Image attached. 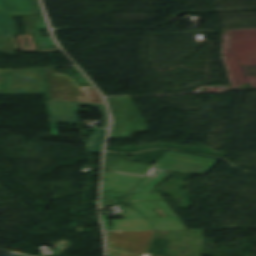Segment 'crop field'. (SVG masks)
<instances>
[{
    "label": "crop field",
    "instance_id": "8a807250",
    "mask_svg": "<svg viewBox=\"0 0 256 256\" xmlns=\"http://www.w3.org/2000/svg\"><path fill=\"white\" fill-rule=\"evenodd\" d=\"M216 160L190 155L166 152L146 176L109 170L104 173L103 190L111 196H126L127 192L136 193L130 201L163 199L158 194H149L157 184L172 170L200 174L209 170ZM120 193V194H116Z\"/></svg>",
    "mask_w": 256,
    "mask_h": 256
},
{
    "label": "crop field",
    "instance_id": "ac0d7876",
    "mask_svg": "<svg viewBox=\"0 0 256 256\" xmlns=\"http://www.w3.org/2000/svg\"><path fill=\"white\" fill-rule=\"evenodd\" d=\"M50 100L104 105L93 86L80 87L66 74H58L55 68H46Z\"/></svg>",
    "mask_w": 256,
    "mask_h": 256
},
{
    "label": "crop field",
    "instance_id": "34b2d1b8",
    "mask_svg": "<svg viewBox=\"0 0 256 256\" xmlns=\"http://www.w3.org/2000/svg\"><path fill=\"white\" fill-rule=\"evenodd\" d=\"M107 100L114 119L110 139L133 138L136 133L148 132L146 122L130 97Z\"/></svg>",
    "mask_w": 256,
    "mask_h": 256
},
{
    "label": "crop field",
    "instance_id": "412701ff",
    "mask_svg": "<svg viewBox=\"0 0 256 256\" xmlns=\"http://www.w3.org/2000/svg\"><path fill=\"white\" fill-rule=\"evenodd\" d=\"M36 1L39 8V22L35 28V34L39 49L58 48L49 34L48 27L42 14L39 2L38 0ZM0 2L4 11V13H0V36H10L17 34L11 16L36 14L37 12L33 0H0ZM37 29H46L49 37L40 38L39 34L37 33Z\"/></svg>",
    "mask_w": 256,
    "mask_h": 256
},
{
    "label": "crop field",
    "instance_id": "f4fd0767",
    "mask_svg": "<svg viewBox=\"0 0 256 256\" xmlns=\"http://www.w3.org/2000/svg\"><path fill=\"white\" fill-rule=\"evenodd\" d=\"M46 104L49 112L52 132L54 136L58 135V131L56 127L57 123H69L72 125H79L76 110L80 106L99 108L100 113L103 114L105 119L102 127L106 128L108 125L107 114L104 106L72 104V103H55V102H47V101H46Z\"/></svg>",
    "mask_w": 256,
    "mask_h": 256
},
{
    "label": "crop field",
    "instance_id": "dd49c442",
    "mask_svg": "<svg viewBox=\"0 0 256 256\" xmlns=\"http://www.w3.org/2000/svg\"><path fill=\"white\" fill-rule=\"evenodd\" d=\"M133 205L154 224L156 230L186 229L165 201L136 202ZM154 208H159L168 218H150L157 217L151 211Z\"/></svg>",
    "mask_w": 256,
    "mask_h": 256
},
{
    "label": "crop field",
    "instance_id": "e52e79f7",
    "mask_svg": "<svg viewBox=\"0 0 256 256\" xmlns=\"http://www.w3.org/2000/svg\"><path fill=\"white\" fill-rule=\"evenodd\" d=\"M124 220H113V230H109L106 215L102 216L106 231L153 230L151 223L136 211L122 213Z\"/></svg>",
    "mask_w": 256,
    "mask_h": 256
},
{
    "label": "crop field",
    "instance_id": "d8731c3e",
    "mask_svg": "<svg viewBox=\"0 0 256 256\" xmlns=\"http://www.w3.org/2000/svg\"><path fill=\"white\" fill-rule=\"evenodd\" d=\"M153 165L105 158L104 168L146 175Z\"/></svg>",
    "mask_w": 256,
    "mask_h": 256
},
{
    "label": "crop field",
    "instance_id": "5a996713",
    "mask_svg": "<svg viewBox=\"0 0 256 256\" xmlns=\"http://www.w3.org/2000/svg\"><path fill=\"white\" fill-rule=\"evenodd\" d=\"M106 130L96 129V134L90 137V141L87 144V152L91 154L100 153V147L105 135Z\"/></svg>",
    "mask_w": 256,
    "mask_h": 256
},
{
    "label": "crop field",
    "instance_id": "3316defc",
    "mask_svg": "<svg viewBox=\"0 0 256 256\" xmlns=\"http://www.w3.org/2000/svg\"><path fill=\"white\" fill-rule=\"evenodd\" d=\"M15 52L12 37H0V53L14 56Z\"/></svg>",
    "mask_w": 256,
    "mask_h": 256
},
{
    "label": "crop field",
    "instance_id": "28ad6ade",
    "mask_svg": "<svg viewBox=\"0 0 256 256\" xmlns=\"http://www.w3.org/2000/svg\"><path fill=\"white\" fill-rule=\"evenodd\" d=\"M114 203H117V201L113 197H111L105 192H102L100 209H103L104 206L111 205Z\"/></svg>",
    "mask_w": 256,
    "mask_h": 256
},
{
    "label": "crop field",
    "instance_id": "d1516ede",
    "mask_svg": "<svg viewBox=\"0 0 256 256\" xmlns=\"http://www.w3.org/2000/svg\"><path fill=\"white\" fill-rule=\"evenodd\" d=\"M18 38H19L21 48H26L23 36H18ZM27 38L30 46L29 49H36V46H34L33 40L30 38V36H27Z\"/></svg>",
    "mask_w": 256,
    "mask_h": 256
},
{
    "label": "crop field",
    "instance_id": "22f410ed",
    "mask_svg": "<svg viewBox=\"0 0 256 256\" xmlns=\"http://www.w3.org/2000/svg\"><path fill=\"white\" fill-rule=\"evenodd\" d=\"M0 12H3V11H2V8H1V5H0Z\"/></svg>",
    "mask_w": 256,
    "mask_h": 256
},
{
    "label": "crop field",
    "instance_id": "cbeb9de0",
    "mask_svg": "<svg viewBox=\"0 0 256 256\" xmlns=\"http://www.w3.org/2000/svg\"><path fill=\"white\" fill-rule=\"evenodd\" d=\"M150 256H154V255H150Z\"/></svg>",
    "mask_w": 256,
    "mask_h": 256
}]
</instances>
